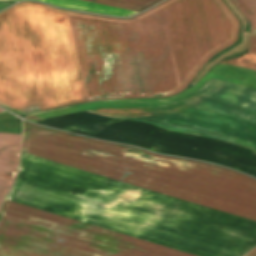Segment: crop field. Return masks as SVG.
<instances>
[{
  "label": "crop field",
  "mask_w": 256,
  "mask_h": 256,
  "mask_svg": "<svg viewBox=\"0 0 256 256\" xmlns=\"http://www.w3.org/2000/svg\"><path fill=\"white\" fill-rule=\"evenodd\" d=\"M248 256H256V248L254 250H252L251 252H249L248 254H246Z\"/></svg>",
  "instance_id": "obj_1"
}]
</instances>
